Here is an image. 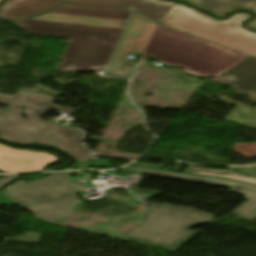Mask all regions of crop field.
<instances>
[{
	"label": "crop field",
	"mask_w": 256,
	"mask_h": 256,
	"mask_svg": "<svg viewBox=\"0 0 256 256\" xmlns=\"http://www.w3.org/2000/svg\"><path fill=\"white\" fill-rule=\"evenodd\" d=\"M115 46L71 40L56 71H104Z\"/></svg>",
	"instance_id": "obj_8"
},
{
	"label": "crop field",
	"mask_w": 256,
	"mask_h": 256,
	"mask_svg": "<svg viewBox=\"0 0 256 256\" xmlns=\"http://www.w3.org/2000/svg\"><path fill=\"white\" fill-rule=\"evenodd\" d=\"M68 2L130 7L156 22L177 3L168 0H7L0 6V19L36 16Z\"/></svg>",
	"instance_id": "obj_4"
},
{
	"label": "crop field",
	"mask_w": 256,
	"mask_h": 256,
	"mask_svg": "<svg viewBox=\"0 0 256 256\" xmlns=\"http://www.w3.org/2000/svg\"><path fill=\"white\" fill-rule=\"evenodd\" d=\"M142 55L185 67L196 76H216L247 56L158 24Z\"/></svg>",
	"instance_id": "obj_2"
},
{
	"label": "crop field",
	"mask_w": 256,
	"mask_h": 256,
	"mask_svg": "<svg viewBox=\"0 0 256 256\" xmlns=\"http://www.w3.org/2000/svg\"><path fill=\"white\" fill-rule=\"evenodd\" d=\"M216 21L204 13L177 3L159 23L195 36Z\"/></svg>",
	"instance_id": "obj_12"
},
{
	"label": "crop field",
	"mask_w": 256,
	"mask_h": 256,
	"mask_svg": "<svg viewBox=\"0 0 256 256\" xmlns=\"http://www.w3.org/2000/svg\"><path fill=\"white\" fill-rule=\"evenodd\" d=\"M212 217L190 208L151 203L140 223L120 239L175 252L197 234L190 227L210 223Z\"/></svg>",
	"instance_id": "obj_3"
},
{
	"label": "crop field",
	"mask_w": 256,
	"mask_h": 256,
	"mask_svg": "<svg viewBox=\"0 0 256 256\" xmlns=\"http://www.w3.org/2000/svg\"><path fill=\"white\" fill-rule=\"evenodd\" d=\"M75 167H87V166H100V167H110L107 161L96 160L88 163L74 165Z\"/></svg>",
	"instance_id": "obj_19"
},
{
	"label": "crop field",
	"mask_w": 256,
	"mask_h": 256,
	"mask_svg": "<svg viewBox=\"0 0 256 256\" xmlns=\"http://www.w3.org/2000/svg\"><path fill=\"white\" fill-rule=\"evenodd\" d=\"M156 23L133 13L127 29L113 55L105 76L129 79L136 64L126 60L128 55H141Z\"/></svg>",
	"instance_id": "obj_5"
},
{
	"label": "crop field",
	"mask_w": 256,
	"mask_h": 256,
	"mask_svg": "<svg viewBox=\"0 0 256 256\" xmlns=\"http://www.w3.org/2000/svg\"><path fill=\"white\" fill-rule=\"evenodd\" d=\"M125 171L215 185V186H227L231 187L232 189L230 192L239 193L244 195L248 201L243 204L241 207L237 208L234 213L243 216L249 220L253 219L256 216V186L228 181V180H221V179H214V178H207V177H200L194 175H187V174H180V173H172V172H164L158 171L138 166L130 165L124 169Z\"/></svg>",
	"instance_id": "obj_10"
},
{
	"label": "crop field",
	"mask_w": 256,
	"mask_h": 256,
	"mask_svg": "<svg viewBox=\"0 0 256 256\" xmlns=\"http://www.w3.org/2000/svg\"><path fill=\"white\" fill-rule=\"evenodd\" d=\"M195 6L204 8L218 16L234 10L248 9L256 12V0H185ZM248 26L256 29V19L248 23Z\"/></svg>",
	"instance_id": "obj_16"
},
{
	"label": "crop field",
	"mask_w": 256,
	"mask_h": 256,
	"mask_svg": "<svg viewBox=\"0 0 256 256\" xmlns=\"http://www.w3.org/2000/svg\"><path fill=\"white\" fill-rule=\"evenodd\" d=\"M58 162L59 159L53 155L13 150L0 145V170L8 173L35 172Z\"/></svg>",
	"instance_id": "obj_11"
},
{
	"label": "crop field",
	"mask_w": 256,
	"mask_h": 256,
	"mask_svg": "<svg viewBox=\"0 0 256 256\" xmlns=\"http://www.w3.org/2000/svg\"><path fill=\"white\" fill-rule=\"evenodd\" d=\"M134 165H140V166H146V167H152V168H158V169H161L162 167L161 166H155V165H150V164H144V163H138V162H135L133 163Z\"/></svg>",
	"instance_id": "obj_20"
},
{
	"label": "crop field",
	"mask_w": 256,
	"mask_h": 256,
	"mask_svg": "<svg viewBox=\"0 0 256 256\" xmlns=\"http://www.w3.org/2000/svg\"><path fill=\"white\" fill-rule=\"evenodd\" d=\"M248 14H235L229 20L217 21L196 37L256 57V34L241 27Z\"/></svg>",
	"instance_id": "obj_9"
},
{
	"label": "crop field",
	"mask_w": 256,
	"mask_h": 256,
	"mask_svg": "<svg viewBox=\"0 0 256 256\" xmlns=\"http://www.w3.org/2000/svg\"><path fill=\"white\" fill-rule=\"evenodd\" d=\"M34 35L116 45L123 29L25 19L16 21Z\"/></svg>",
	"instance_id": "obj_6"
},
{
	"label": "crop field",
	"mask_w": 256,
	"mask_h": 256,
	"mask_svg": "<svg viewBox=\"0 0 256 256\" xmlns=\"http://www.w3.org/2000/svg\"><path fill=\"white\" fill-rule=\"evenodd\" d=\"M212 80L256 97V59L247 56Z\"/></svg>",
	"instance_id": "obj_13"
},
{
	"label": "crop field",
	"mask_w": 256,
	"mask_h": 256,
	"mask_svg": "<svg viewBox=\"0 0 256 256\" xmlns=\"http://www.w3.org/2000/svg\"><path fill=\"white\" fill-rule=\"evenodd\" d=\"M32 19L67 22V23H78V24H88V25H98V26H108V27H118V28H124V26L126 24V22H122V21L91 19V18L56 15V14H45L43 16L34 17Z\"/></svg>",
	"instance_id": "obj_17"
},
{
	"label": "crop field",
	"mask_w": 256,
	"mask_h": 256,
	"mask_svg": "<svg viewBox=\"0 0 256 256\" xmlns=\"http://www.w3.org/2000/svg\"><path fill=\"white\" fill-rule=\"evenodd\" d=\"M186 173L228 178V179H234V180L256 184V177L235 173L233 171H216L211 169L194 168L189 166Z\"/></svg>",
	"instance_id": "obj_18"
},
{
	"label": "crop field",
	"mask_w": 256,
	"mask_h": 256,
	"mask_svg": "<svg viewBox=\"0 0 256 256\" xmlns=\"http://www.w3.org/2000/svg\"><path fill=\"white\" fill-rule=\"evenodd\" d=\"M83 172L60 173L27 183L21 181L13 184L2 193L21 206L27 205L86 187L87 185H76L70 181V175ZM66 183L69 184L66 185Z\"/></svg>",
	"instance_id": "obj_7"
},
{
	"label": "crop field",
	"mask_w": 256,
	"mask_h": 256,
	"mask_svg": "<svg viewBox=\"0 0 256 256\" xmlns=\"http://www.w3.org/2000/svg\"><path fill=\"white\" fill-rule=\"evenodd\" d=\"M78 203L74 193L25 208L33 210L34 215L41 220H47L69 216L72 214V205Z\"/></svg>",
	"instance_id": "obj_15"
},
{
	"label": "crop field",
	"mask_w": 256,
	"mask_h": 256,
	"mask_svg": "<svg viewBox=\"0 0 256 256\" xmlns=\"http://www.w3.org/2000/svg\"><path fill=\"white\" fill-rule=\"evenodd\" d=\"M53 97L16 93L14 97L0 96V103L9 104L7 110L0 109V136L17 143H43L59 147L69 152L79 162L94 159L85 145L79 143L83 133L70 126L45 122L39 119L49 108L67 113L71 108L52 106ZM28 107L24 113L26 121L20 117L19 107Z\"/></svg>",
	"instance_id": "obj_1"
},
{
	"label": "crop field",
	"mask_w": 256,
	"mask_h": 256,
	"mask_svg": "<svg viewBox=\"0 0 256 256\" xmlns=\"http://www.w3.org/2000/svg\"><path fill=\"white\" fill-rule=\"evenodd\" d=\"M131 12L132 10L124 8L64 4L49 13L127 21Z\"/></svg>",
	"instance_id": "obj_14"
}]
</instances>
